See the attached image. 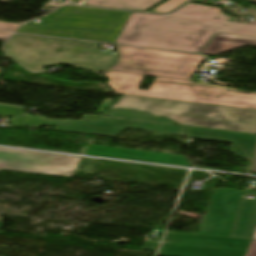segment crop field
I'll use <instances>...</instances> for the list:
<instances>
[{
	"label": "crop field",
	"mask_w": 256,
	"mask_h": 256,
	"mask_svg": "<svg viewBox=\"0 0 256 256\" xmlns=\"http://www.w3.org/2000/svg\"><path fill=\"white\" fill-rule=\"evenodd\" d=\"M86 154L192 167L187 164L183 155H172L96 145H89Z\"/></svg>",
	"instance_id": "obj_12"
},
{
	"label": "crop field",
	"mask_w": 256,
	"mask_h": 256,
	"mask_svg": "<svg viewBox=\"0 0 256 256\" xmlns=\"http://www.w3.org/2000/svg\"><path fill=\"white\" fill-rule=\"evenodd\" d=\"M2 223H3V222H0V227H1Z\"/></svg>",
	"instance_id": "obj_24"
},
{
	"label": "crop field",
	"mask_w": 256,
	"mask_h": 256,
	"mask_svg": "<svg viewBox=\"0 0 256 256\" xmlns=\"http://www.w3.org/2000/svg\"><path fill=\"white\" fill-rule=\"evenodd\" d=\"M185 1H187V0H168V1H166L162 5L158 6L157 8H155L152 11L153 12L165 13V12H168V11L174 9L175 7H177L178 5L182 4Z\"/></svg>",
	"instance_id": "obj_18"
},
{
	"label": "crop field",
	"mask_w": 256,
	"mask_h": 256,
	"mask_svg": "<svg viewBox=\"0 0 256 256\" xmlns=\"http://www.w3.org/2000/svg\"><path fill=\"white\" fill-rule=\"evenodd\" d=\"M204 6L188 4L172 15L201 18Z\"/></svg>",
	"instance_id": "obj_17"
},
{
	"label": "crop field",
	"mask_w": 256,
	"mask_h": 256,
	"mask_svg": "<svg viewBox=\"0 0 256 256\" xmlns=\"http://www.w3.org/2000/svg\"><path fill=\"white\" fill-rule=\"evenodd\" d=\"M250 241L168 232L158 256H244Z\"/></svg>",
	"instance_id": "obj_7"
},
{
	"label": "crop field",
	"mask_w": 256,
	"mask_h": 256,
	"mask_svg": "<svg viewBox=\"0 0 256 256\" xmlns=\"http://www.w3.org/2000/svg\"><path fill=\"white\" fill-rule=\"evenodd\" d=\"M242 193L215 189L198 234L230 237Z\"/></svg>",
	"instance_id": "obj_9"
},
{
	"label": "crop field",
	"mask_w": 256,
	"mask_h": 256,
	"mask_svg": "<svg viewBox=\"0 0 256 256\" xmlns=\"http://www.w3.org/2000/svg\"><path fill=\"white\" fill-rule=\"evenodd\" d=\"M245 256H256V240H252Z\"/></svg>",
	"instance_id": "obj_21"
},
{
	"label": "crop field",
	"mask_w": 256,
	"mask_h": 256,
	"mask_svg": "<svg viewBox=\"0 0 256 256\" xmlns=\"http://www.w3.org/2000/svg\"><path fill=\"white\" fill-rule=\"evenodd\" d=\"M256 225V198L255 200L242 199L232 236L250 239Z\"/></svg>",
	"instance_id": "obj_14"
},
{
	"label": "crop field",
	"mask_w": 256,
	"mask_h": 256,
	"mask_svg": "<svg viewBox=\"0 0 256 256\" xmlns=\"http://www.w3.org/2000/svg\"><path fill=\"white\" fill-rule=\"evenodd\" d=\"M11 33L0 32V39L8 38Z\"/></svg>",
	"instance_id": "obj_22"
},
{
	"label": "crop field",
	"mask_w": 256,
	"mask_h": 256,
	"mask_svg": "<svg viewBox=\"0 0 256 256\" xmlns=\"http://www.w3.org/2000/svg\"><path fill=\"white\" fill-rule=\"evenodd\" d=\"M100 44L15 34L4 51L30 70L58 63H74L92 71L115 64L117 54L97 51Z\"/></svg>",
	"instance_id": "obj_4"
},
{
	"label": "crop field",
	"mask_w": 256,
	"mask_h": 256,
	"mask_svg": "<svg viewBox=\"0 0 256 256\" xmlns=\"http://www.w3.org/2000/svg\"><path fill=\"white\" fill-rule=\"evenodd\" d=\"M163 0H85L83 5L147 11Z\"/></svg>",
	"instance_id": "obj_15"
},
{
	"label": "crop field",
	"mask_w": 256,
	"mask_h": 256,
	"mask_svg": "<svg viewBox=\"0 0 256 256\" xmlns=\"http://www.w3.org/2000/svg\"><path fill=\"white\" fill-rule=\"evenodd\" d=\"M159 243L145 241L141 250L155 252Z\"/></svg>",
	"instance_id": "obj_20"
},
{
	"label": "crop field",
	"mask_w": 256,
	"mask_h": 256,
	"mask_svg": "<svg viewBox=\"0 0 256 256\" xmlns=\"http://www.w3.org/2000/svg\"><path fill=\"white\" fill-rule=\"evenodd\" d=\"M254 1H256V0H254Z\"/></svg>",
	"instance_id": "obj_25"
},
{
	"label": "crop field",
	"mask_w": 256,
	"mask_h": 256,
	"mask_svg": "<svg viewBox=\"0 0 256 256\" xmlns=\"http://www.w3.org/2000/svg\"><path fill=\"white\" fill-rule=\"evenodd\" d=\"M108 116L174 124V122L170 121L167 118H164V117H162V118H160V117L154 118L149 113L136 112V111H133V110L118 109V110L111 111L108 114Z\"/></svg>",
	"instance_id": "obj_16"
},
{
	"label": "crop field",
	"mask_w": 256,
	"mask_h": 256,
	"mask_svg": "<svg viewBox=\"0 0 256 256\" xmlns=\"http://www.w3.org/2000/svg\"><path fill=\"white\" fill-rule=\"evenodd\" d=\"M229 19L208 6L202 19L132 13L117 43L200 53L217 32L256 36V25Z\"/></svg>",
	"instance_id": "obj_1"
},
{
	"label": "crop field",
	"mask_w": 256,
	"mask_h": 256,
	"mask_svg": "<svg viewBox=\"0 0 256 256\" xmlns=\"http://www.w3.org/2000/svg\"><path fill=\"white\" fill-rule=\"evenodd\" d=\"M81 158L0 149V170L73 176Z\"/></svg>",
	"instance_id": "obj_8"
},
{
	"label": "crop field",
	"mask_w": 256,
	"mask_h": 256,
	"mask_svg": "<svg viewBox=\"0 0 256 256\" xmlns=\"http://www.w3.org/2000/svg\"><path fill=\"white\" fill-rule=\"evenodd\" d=\"M247 45L256 46V37L217 33L201 54L218 55Z\"/></svg>",
	"instance_id": "obj_13"
},
{
	"label": "crop field",
	"mask_w": 256,
	"mask_h": 256,
	"mask_svg": "<svg viewBox=\"0 0 256 256\" xmlns=\"http://www.w3.org/2000/svg\"><path fill=\"white\" fill-rule=\"evenodd\" d=\"M124 108L166 116L177 123L256 133V111L124 95L110 109ZM251 172H256V155Z\"/></svg>",
	"instance_id": "obj_3"
},
{
	"label": "crop field",
	"mask_w": 256,
	"mask_h": 256,
	"mask_svg": "<svg viewBox=\"0 0 256 256\" xmlns=\"http://www.w3.org/2000/svg\"><path fill=\"white\" fill-rule=\"evenodd\" d=\"M186 130H187L188 137H191V138L232 143L231 152L248 161L251 160V156L256 146L255 135H247V134L191 128V127H186Z\"/></svg>",
	"instance_id": "obj_11"
},
{
	"label": "crop field",
	"mask_w": 256,
	"mask_h": 256,
	"mask_svg": "<svg viewBox=\"0 0 256 256\" xmlns=\"http://www.w3.org/2000/svg\"><path fill=\"white\" fill-rule=\"evenodd\" d=\"M117 93L256 110V94L241 90L156 77L148 91L138 90L144 75L106 71Z\"/></svg>",
	"instance_id": "obj_2"
},
{
	"label": "crop field",
	"mask_w": 256,
	"mask_h": 256,
	"mask_svg": "<svg viewBox=\"0 0 256 256\" xmlns=\"http://www.w3.org/2000/svg\"><path fill=\"white\" fill-rule=\"evenodd\" d=\"M116 46L119 59L109 69L113 71L191 80L204 58L193 54Z\"/></svg>",
	"instance_id": "obj_6"
},
{
	"label": "crop field",
	"mask_w": 256,
	"mask_h": 256,
	"mask_svg": "<svg viewBox=\"0 0 256 256\" xmlns=\"http://www.w3.org/2000/svg\"><path fill=\"white\" fill-rule=\"evenodd\" d=\"M18 32L114 43L130 12L62 6Z\"/></svg>",
	"instance_id": "obj_5"
},
{
	"label": "crop field",
	"mask_w": 256,
	"mask_h": 256,
	"mask_svg": "<svg viewBox=\"0 0 256 256\" xmlns=\"http://www.w3.org/2000/svg\"><path fill=\"white\" fill-rule=\"evenodd\" d=\"M127 128L185 135L184 128L181 126L149 123L103 116H99L98 118H93L89 121L79 124L57 126L54 129L60 131L115 136L120 134Z\"/></svg>",
	"instance_id": "obj_10"
},
{
	"label": "crop field",
	"mask_w": 256,
	"mask_h": 256,
	"mask_svg": "<svg viewBox=\"0 0 256 256\" xmlns=\"http://www.w3.org/2000/svg\"><path fill=\"white\" fill-rule=\"evenodd\" d=\"M20 24L0 22V30L14 31Z\"/></svg>",
	"instance_id": "obj_19"
},
{
	"label": "crop field",
	"mask_w": 256,
	"mask_h": 256,
	"mask_svg": "<svg viewBox=\"0 0 256 256\" xmlns=\"http://www.w3.org/2000/svg\"><path fill=\"white\" fill-rule=\"evenodd\" d=\"M252 239H256V230H255V233L253 235V238Z\"/></svg>",
	"instance_id": "obj_23"
}]
</instances>
